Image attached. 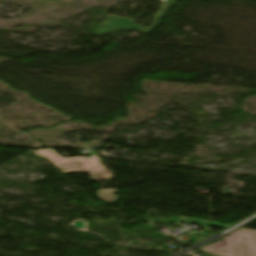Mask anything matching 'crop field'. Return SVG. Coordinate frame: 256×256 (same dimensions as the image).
Wrapping results in <instances>:
<instances>
[{"label":"crop field","instance_id":"3","mask_svg":"<svg viewBox=\"0 0 256 256\" xmlns=\"http://www.w3.org/2000/svg\"><path fill=\"white\" fill-rule=\"evenodd\" d=\"M170 219H174L175 221H169L168 219H165V218H161V219L141 218V220L148 221L147 225H149L151 228H154V226L152 224L153 221L171 222V223L175 224L176 226H178V227H180L182 229L184 228V226L178 224L180 221H184V222H189V223L200 225L201 227H203L206 230L209 227V221H207V220L189 219V218H180V217H171Z\"/></svg>","mask_w":256,"mask_h":256},{"label":"crop field","instance_id":"4","mask_svg":"<svg viewBox=\"0 0 256 256\" xmlns=\"http://www.w3.org/2000/svg\"><path fill=\"white\" fill-rule=\"evenodd\" d=\"M115 192H117L116 189L100 190V191L96 192V194L98 195L97 197H99L104 202L113 203L115 201H118V199H117L118 197L112 194Z\"/></svg>","mask_w":256,"mask_h":256},{"label":"crop field","instance_id":"2","mask_svg":"<svg viewBox=\"0 0 256 256\" xmlns=\"http://www.w3.org/2000/svg\"><path fill=\"white\" fill-rule=\"evenodd\" d=\"M200 249L221 256H256V230L240 228Z\"/></svg>","mask_w":256,"mask_h":256},{"label":"crop field","instance_id":"6","mask_svg":"<svg viewBox=\"0 0 256 256\" xmlns=\"http://www.w3.org/2000/svg\"><path fill=\"white\" fill-rule=\"evenodd\" d=\"M197 250V249H196ZM199 251V250H198ZM200 252H203V251H200ZM203 253H206V252H203ZM207 254H210V253H207ZM211 255H213V254H211ZM214 256H216V255H214Z\"/></svg>","mask_w":256,"mask_h":256},{"label":"crop field","instance_id":"1","mask_svg":"<svg viewBox=\"0 0 256 256\" xmlns=\"http://www.w3.org/2000/svg\"><path fill=\"white\" fill-rule=\"evenodd\" d=\"M34 154L47 157L64 174L72 171H83L90 174L92 181L107 180L113 175L100 164L97 154L90 155V158L81 156L62 158L52 149L35 150Z\"/></svg>","mask_w":256,"mask_h":256},{"label":"crop field","instance_id":"5","mask_svg":"<svg viewBox=\"0 0 256 256\" xmlns=\"http://www.w3.org/2000/svg\"><path fill=\"white\" fill-rule=\"evenodd\" d=\"M210 225L217 226V227H222V228H225V227L228 226V225H224V224H220V223H216V222H212V221H210Z\"/></svg>","mask_w":256,"mask_h":256}]
</instances>
